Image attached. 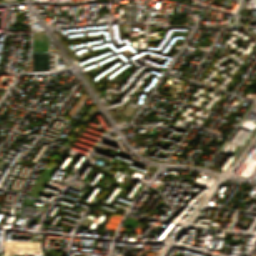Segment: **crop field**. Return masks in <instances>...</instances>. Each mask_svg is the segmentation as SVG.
Listing matches in <instances>:
<instances>
[{"mask_svg": "<svg viewBox=\"0 0 256 256\" xmlns=\"http://www.w3.org/2000/svg\"><path fill=\"white\" fill-rule=\"evenodd\" d=\"M11 1H16V0H5V2H11Z\"/></svg>", "mask_w": 256, "mask_h": 256, "instance_id": "1", "label": "crop field"}]
</instances>
